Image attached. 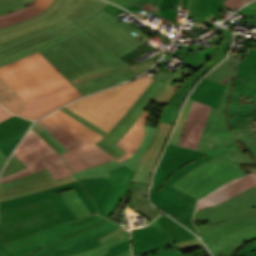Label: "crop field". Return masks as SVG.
<instances>
[{"label":"crop field","instance_id":"1","mask_svg":"<svg viewBox=\"0 0 256 256\" xmlns=\"http://www.w3.org/2000/svg\"><path fill=\"white\" fill-rule=\"evenodd\" d=\"M39 51L84 95L135 77L129 66L68 18L0 45V66Z\"/></svg>","mask_w":256,"mask_h":256},{"label":"crop field","instance_id":"2","mask_svg":"<svg viewBox=\"0 0 256 256\" xmlns=\"http://www.w3.org/2000/svg\"><path fill=\"white\" fill-rule=\"evenodd\" d=\"M193 221H209L210 225L197 229L214 256H231L242 243L256 238V188L221 205L196 211Z\"/></svg>","mask_w":256,"mask_h":256},{"label":"crop field","instance_id":"3","mask_svg":"<svg viewBox=\"0 0 256 256\" xmlns=\"http://www.w3.org/2000/svg\"><path fill=\"white\" fill-rule=\"evenodd\" d=\"M152 80L153 78L144 74L129 83L83 98L64 107L108 133L138 100Z\"/></svg>","mask_w":256,"mask_h":256},{"label":"crop field","instance_id":"4","mask_svg":"<svg viewBox=\"0 0 256 256\" xmlns=\"http://www.w3.org/2000/svg\"><path fill=\"white\" fill-rule=\"evenodd\" d=\"M11 86L28 103L17 114L31 120L84 96L55 67L23 78Z\"/></svg>","mask_w":256,"mask_h":256},{"label":"crop field","instance_id":"5","mask_svg":"<svg viewBox=\"0 0 256 256\" xmlns=\"http://www.w3.org/2000/svg\"><path fill=\"white\" fill-rule=\"evenodd\" d=\"M117 22H119L118 19L102 10L81 28L129 63L131 65L129 68L137 76L149 68L160 55L136 63L133 57L139 56L152 48L126 32L116 24Z\"/></svg>","mask_w":256,"mask_h":256},{"label":"crop field","instance_id":"6","mask_svg":"<svg viewBox=\"0 0 256 256\" xmlns=\"http://www.w3.org/2000/svg\"><path fill=\"white\" fill-rule=\"evenodd\" d=\"M211 158L213 157L208 154L169 144L164 153L159 168L156 171L155 179L153 182L154 184L163 187L164 189L177 195L183 200L193 204L180 218L174 217L173 215L171 216L196 234H198V232L191 222L196 200L171 187L170 185L192 168L204 163Z\"/></svg>","mask_w":256,"mask_h":256},{"label":"crop field","instance_id":"7","mask_svg":"<svg viewBox=\"0 0 256 256\" xmlns=\"http://www.w3.org/2000/svg\"><path fill=\"white\" fill-rule=\"evenodd\" d=\"M63 223L49 201L0 212L2 243Z\"/></svg>","mask_w":256,"mask_h":256},{"label":"crop field","instance_id":"8","mask_svg":"<svg viewBox=\"0 0 256 256\" xmlns=\"http://www.w3.org/2000/svg\"><path fill=\"white\" fill-rule=\"evenodd\" d=\"M243 175L246 173L239 163L215 157L186 173L172 186L199 199Z\"/></svg>","mask_w":256,"mask_h":256},{"label":"crop field","instance_id":"9","mask_svg":"<svg viewBox=\"0 0 256 256\" xmlns=\"http://www.w3.org/2000/svg\"><path fill=\"white\" fill-rule=\"evenodd\" d=\"M14 155L28 168L2 178L0 183L18 179L45 168L55 180L72 175L61 155L31 129Z\"/></svg>","mask_w":256,"mask_h":256},{"label":"crop field","instance_id":"10","mask_svg":"<svg viewBox=\"0 0 256 256\" xmlns=\"http://www.w3.org/2000/svg\"><path fill=\"white\" fill-rule=\"evenodd\" d=\"M148 115V113L143 112L132 128L126 133V135L124 134L125 136L116 144L127 152L118 160L94 143L69 150L62 154V156L70 166L73 173L99 165L112 159L119 162L127 160L136 152L143 139L144 124Z\"/></svg>","mask_w":256,"mask_h":256},{"label":"crop field","instance_id":"11","mask_svg":"<svg viewBox=\"0 0 256 256\" xmlns=\"http://www.w3.org/2000/svg\"><path fill=\"white\" fill-rule=\"evenodd\" d=\"M110 173L111 178L100 177L80 181L94 199L98 213L107 218L123 198L135 174L126 166L112 169Z\"/></svg>","mask_w":256,"mask_h":256},{"label":"crop field","instance_id":"12","mask_svg":"<svg viewBox=\"0 0 256 256\" xmlns=\"http://www.w3.org/2000/svg\"><path fill=\"white\" fill-rule=\"evenodd\" d=\"M105 220L98 215H94L74 222L54 225L40 232L4 243V245L18 256H28L39 248L97 225Z\"/></svg>","mask_w":256,"mask_h":256},{"label":"crop field","instance_id":"13","mask_svg":"<svg viewBox=\"0 0 256 256\" xmlns=\"http://www.w3.org/2000/svg\"><path fill=\"white\" fill-rule=\"evenodd\" d=\"M37 122L67 150L96 143L104 138L61 109Z\"/></svg>","mask_w":256,"mask_h":256},{"label":"crop field","instance_id":"14","mask_svg":"<svg viewBox=\"0 0 256 256\" xmlns=\"http://www.w3.org/2000/svg\"><path fill=\"white\" fill-rule=\"evenodd\" d=\"M164 83L154 79L151 85L147 88V90L143 93V95L139 98V100L135 103V105L128 111V113L114 126V128L107 134L104 131L100 130L84 118L74 114L66 108H61L74 118L78 119L85 125L91 127L95 131L99 132L106 138L97 143L98 146L103 148L105 151L113 155L115 158L121 157L124 152L115 144L124 136V134L130 129L133 123L137 120V118L141 115L144 109L147 107L149 102L152 100L157 91L161 88Z\"/></svg>","mask_w":256,"mask_h":256},{"label":"crop field","instance_id":"15","mask_svg":"<svg viewBox=\"0 0 256 256\" xmlns=\"http://www.w3.org/2000/svg\"><path fill=\"white\" fill-rule=\"evenodd\" d=\"M83 0H53L41 14L12 26L0 28V43L50 26L68 17Z\"/></svg>","mask_w":256,"mask_h":256},{"label":"crop field","instance_id":"16","mask_svg":"<svg viewBox=\"0 0 256 256\" xmlns=\"http://www.w3.org/2000/svg\"><path fill=\"white\" fill-rule=\"evenodd\" d=\"M75 188L86 206L88 207L91 214L97 212L96 206L93 200L88 196L84 187L81 186L78 181L69 183L63 186L52 188L46 191L18 197L16 199L0 202V211L5 209H10L18 206H23L27 204L37 203L41 201L49 200L54 209L57 211L63 222L76 219L71 209L68 207L66 202L63 200L61 195L58 193L67 189Z\"/></svg>","mask_w":256,"mask_h":256},{"label":"crop field","instance_id":"17","mask_svg":"<svg viewBox=\"0 0 256 256\" xmlns=\"http://www.w3.org/2000/svg\"><path fill=\"white\" fill-rule=\"evenodd\" d=\"M214 148L202 150L211 156H217L239 163L256 164V143L243 129L211 134Z\"/></svg>","mask_w":256,"mask_h":256},{"label":"crop field","instance_id":"18","mask_svg":"<svg viewBox=\"0 0 256 256\" xmlns=\"http://www.w3.org/2000/svg\"><path fill=\"white\" fill-rule=\"evenodd\" d=\"M119 225L107 220L83 232L55 242L30 256H64L96 248L101 243L97 240Z\"/></svg>","mask_w":256,"mask_h":256},{"label":"crop field","instance_id":"19","mask_svg":"<svg viewBox=\"0 0 256 256\" xmlns=\"http://www.w3.org/2000/svg\"><path fill=\"white\" fill-rule=\"evenodd\" d=\"M76 181L74 175L54 181L47 169L27 177L0 184V201L46 190Z\"/></svg>","mask_w":256,"mask_h":256},{"label":"crop field","instance_id":"20","mask_svg":"<svg viewBox=\"0 0 256 256\" xmlns=\"http://www.w3.org/2000/svg\"><path fill=\"white\" fill-rule=\"evenodd\" d=\"M50 67H53V65L49 63L39 52H37L1 66L0 74L10 84L18 79Z\"/></svg>","mask_w":256,"mask_h":256},{"label":"crop field","instance_id":"21","mask_svg":"<svg viewBox=\"0 0 256 256\" xmlns=\"http://www.w3.org/2000/svg\"><path fill=\"white\" fill-rule=\"evenodd\" d=\"M156 129L145 125V137L137 152L127 161L118 163L114 160L104 163L102 165L89 168L80 172L75 173L78 180L85 179V178H92V177H100V176H107L110 177L109 169L126 165L131 168L133 171H136V168L139 164V160L143 155L144 151L149 147L153 135Z\"/></svg>","mask_w":256,"mask_h":256},{"label":"crop field","instance_id":"22","mask_svg":"<svg viewBox=\"0 0 256 256\" xmlns=\"http://www.w3.org/2000/svg\"><path fill=\"white\" fill-rule=\"evenodd\" d=\"M210 106L194 101L179 145L195 149L202 134Z\"/></svg>","mask_w":256,"mask_h":256},{"label":"crop field","instance_id":"23","mask_svg":"<svg viewBox=\"0 0 256 256\" xmlns=\"http://www.w3.org/2000/svg\"><path fill=\"white\" fill-rule=\"evenodd\" d=\"M256 185V175L251 173L249 175L239 177L230 183L220 187L214 192L198 200L197 209L214 206L219 204L242 191Z\"/></svg>","mask_w":256,"mask_h":256},{"label":"crop field","instance_id":"24","mask_svg":"<svg viewBox=\"0 0 256 256\" xmlns=\"http://www.w3.org/2000/svg\"><path fill=\"white\" fill-rule=\"evenodd\" d=\"M231 79L232 77H230L226 83L218 109L213 107L211 108L203 134L197 147L198 150L213 147L210 133L228 130L225 123V106Z\"/></svg>","mask_w":256,"mask_h":256},{"label":"crop field","instance_id":"25","mask_svg":"<svg viewBox=\"0 0 256 256\" xmlns=\"http://www.w3.org/2000/svg\"><path fill=\"white\" fill-rule=\"evenodd\" d=\"M32 122L13 116L0 123V150L7 157Z\"/></svg>","mask_w":256,"mask_h":256},{"label":"crop field","instance_id":"26","mask_svg":"<svg viewBox=\"0 0 256 256\" xmlns=\"http://www.w3.org/2000/svg\"><path fill=\"white\" fill-rule=\"evenodd\" d=\"M151 201L160 209L180 217L191 204L152 184Z\"/></svg>","mask_w":256,"mask_h":256},{"label":"crop field","instance_id":"27","mask_svg":"<svg viewBox=\"0 0 256 256\" xmlns=\"http://www.w3.org/2000/svg\"><path fill=\"white\" fill-rule=\"evenodd\" d=\"M202 75L199 73H194L187 81H185L182 86L175 92L172 98L168 101V104L163 109L162 115L160 117L161 122L171 123L173 124L178 111L180 109V105L187 96L189 90L193 87V85L200 79Z\"/></svg>","mask_w":256,"mask_h":256},{"label":"crop field","instance_id":"28","mask_svg":"<svg viewBox=\"0 0 256 256\" xmlns=\"http://www.w3.org/2000/svg\"><path fill=\"white\" fill-rule=\"evenodd\" d=\"M224 84L203 79L193 91L190 99L218 107Z\"/></svg>","mask_w":256,"mask_h":256},{"label":"crop field","instance_id":"29","mask_svg":"<svg viewBox=\"0 0 256 256\" xmlns=\"http://www.w3.org/2000/svg\"><path fill=\"white\" fill-rule=\"evenodd\" d=\"M52 0H35L31 5L0 16V27L15 24L45 10Z\"/></svg>","mask_w":256,"mask_h":256},{"label":"crop field","instance_id":"30","mask_svg":"<svg viewBox=\"0 0 256 256\" xmlns=\"http://www.w3.org/2000/svg\"><path fill=\"white\" fill-rule=\"evenodd\" d=\"M107 5L102 0H84L68 18L81 27Z\"/></svg>","mask_w":256,"mask_h":256},{"label":"crop field","instance_id":"31","mask_svg":"<svg viewBox=\"0 0 256 256\" xmlns=\"http://www.w3.org/2000/svg\"><path fill=\"white\" fill-rule=\"evenodd\" d=\"M0 103L10 112L16 114L24 110L26 102L0 75Z\"/></svg>","mask_w":256,"mask_h":256},{"label":"crop field","instance_id":"32","mask_svg":"<svg viewBox=\"0 0 256 256\" xmlns=\"http://www.w3.org/2000/svg\"><path fill=\"white\" fill-rule=\"evenodd\" d=\"M147 190L148 185L134 182L130 201L134 208L152 219L159 215V212L147 203Z\"/></svg>","mask_w":256,"mask_h":256},{"label":"crop field","instance_id":"33","mask_svg":"<svg viewBox=\"0 0 256 256\" xmlns=\"http://www.w3.org/2000/svg\"><path fill=\"white\" fill-rule=\"evenodd\" d=\"M149 226L132 231L133 254L138 253V249L142 247L165 239L161 234Z\"/></svg>","mask_w":256,"mask_h":256},{"label":"crop field","instance_id":"34","mask_svg":"<svg viewBox=\"0 0 256 256\" xmlns=\"http://www.w3.org/2000/svg\"><path fill=\"white\" fill-rule=\"evenodd\" d=\"M134 14L139 13L142 10H147L156 13L155 16L161 17L163 12L158 8L162 0H109Z\"/></svg>","mask_w":256,"mask_h":256},{"label":"crop field","instance_id":"35","mask_svg":"<svg viewBox=\"0 0 256 256\" xmlns=\"http://www.w3.org/2000/svg\"><path fill=\"white\" fill-rule=\"evenodd\" d=\"M162 227L169 236H171L174 243L181 242L184 240H188L191 238H195V236L187 231L184 227L169 219L167 216H160L158 219L153 221Z\"/></svg>","mask_w":256,"mask_h":256},{"label":"crop field","instance_id":"36","mask_svg":"<svg viewBox=\"0 0 256 256\" xmlns=\"http://www.w3.org/2000/svg\"><path fill=\"white\" fill-rule=\"evenodd\" d=\"M243 128L256 142V109L254 111L240 108L233 129Z\"/></svg>","mask_w":256,"mask_h":256},{"label":"crop field","instance_id":"37","mask_svg":"<svg viewBox=\"0 0 256 256\" xmlns=\"http://www.w3.org/2000/svg\"><path fill=\"white\" fill-rule=\"evenodd\" d=\"M171 124L161 123L159 122V125L157 127V131L154 135L153 141L151 146L145 151L146 154L154 155V156H160L164 145L166 143V140L168 138V135L172 129Z\"/></svg>","mask_w":256,"mask_h":256},{"label":"crop field","instance_id":"38","mask_svg":"<svg viewBox=\"0 0 256 256\" xmlns=\"http://www.w3.org/2000/svg\"><path fill=\"white\" fill-rule=\"evenodd\" d=\"M223 2L224 0H200L196 6V10H198L196 19L215 28L217 25L209 23L204 19L211 13L215 14V18L218 19V12Z\"/></svg>","mask_w":256,"mask_h":256},{"label":"crop field","instance_id":"39","mask_svg":"<svg viewBox=\"0 0 256 256\" xmlns=\"http://www.w3.org/2000/svg\"><path fill=\"white\" fill-rule=\"evenodd\" d=\"M64 200L67 202L69 207L72 209L74 214L79 217L90 215V212L86 208L85 204L75 191V189L60 192Z\"/></svg>","mask_w":256,"mask_h":256},{"label":"crop field","instance_id":"40","mask_svg":"<svg viewBox=\"0 0 256 256\" xmlns=\"http://www.w3.org/2000/svg\"><path fill=\"white\" fill-rule=\"evenodd\" d=\"M220 31L223 33V41L220 45L219 49L217 50L213 60L211 62H208L206 65H204L201 69H199L197 72L200 74H205L207 71H209L213 66H215L225 55L227 48L231 41V33L225 29H220Z\"/></svg>","mask_w":256,"mask_h":256},{"label":"crop field","instance_id":"41","mask_svg":"<svg viewBox=\"0 0 256 256\" xmlns=\"http://www.w3.org/2000/svg\"><path fill=\"white\" fill-rule=\"evenodd\" d=\"M167 62L168 61H161L160 60L157 63V65H159L163 68L161 70H159L155 75H153V77H155V78H157V79H159L163 82L173 84L177 79H179L181 76H183L184 74H186L188 71L191 70L188 67L185 68L184 70L179 68L177 71H175L173 73H169V72L166 71L168 68L163 66Z\"/></svg>","mask_w":256,"mask_h":256},{"label":"crop field","instance_id":"42","mask_svg":"<svg viewBox=\"0 0 256 256\" xmlns=\"http://www.w3.org/2000/svg\"><path fill=\"white\" fill-rule=\"evenodd\" d=\"M192 102H193L192 100L188 99V101L185 103L182 114H181L180 119H179V122L177 124L176 130H175V132H174V134H173V136L170 140L171 143H175V144L179 143L181 132H182V129L185 125V122H186L189 110L191 108Z\"/></svg>","mask_w":256,"mask_h":256},{"label":"crop field","instance_id":"43","mask_svg":"<svg viewBox=\"0 0 256 256\" xmlns=\"http://www.w3.org/2000/svg\"><path fill=\"white\" fill-rule=\"evenodd\" d=\"M34 0H0V15L29 5Z\"/></svg>","mask_w":256,"mask_h":256},{"label":"crop field","instance_id":"44","mask_svg":"<svg viewBox=\"0 0 256 256\" xmlns=\"http://www.w3.org/2000/svg\"><path fill=\"white\" fill-rule=\"evenodd\" d=\"M181 86V83H178L176 85H168L164 84L163 87L158 91L156 96L153 98V101L161 102V103H167V101L171 98L173 93L178 89V87Z\"/></svg>","mask_w":256,"mask_h":256},{"label":"crop field","instance_id":"45","mask_svg":"<svg viewBox=\"0 0 256 256\" xmlns=\"http://www.w3.org/2000/svg\"><path fill=\"white\" fill-rule=\"evenodd\" d=\"M36 130L47 142H49L60 154L67 151L58 141H56L46 130H44L37 122L32 127Z\"/></svg>","mask_w":256,"mask_h":256},{"label":"crop field","instance_id":"46","mask_svg":"<svg viewBox=\"0 0 256 256\" xmlns=\"http://www.w3.org/2000/svg\"><path fill=\"white\" fill-rule=\"evenodd\" d=\"M180 59L183 60V61H181L183 64L187 65L189 68H191L195 72L199 68H201L204 64L207 63V62L203 61L202 59H200L196 56H193L191 54V52L189 54L185 55L184 57L180 58Z\"/></svg>","mask_w":256,"mask_h":256},{"label":"crop field","instance_id":"47","mask_svg":"<svg viewBox=\"0 0 256 256\" xmlns=\"http://www.w3.org/2000/svg\"><path fill=\"white\" fill-rule=\"evenodd\" d=\"M152 172L144 167L142 164H139L136 174L132 181L141 182L148 184L151 178Z\"/></svg>","mask_w":256,"mask_h":256},{"label":"crop field","instance_id":"48","mask_svg":"<svg viewBox=\"0 0 256 256\" xmlns=\"http://www.w3.org/2000/svg\"><path fill=\"white\" fill-rule=\"evenodd\" d=\"M118 25H120L122 28H124L126 31L130 32L131 34H133L134 36L138 37L139 39L141 40H146L147 38L150 39V37L142 34L140 31H138L137 29H135L134 27H132L130 24H128L127 22L125 21H122L120 23H118ZM160 36L163 40H166L168 39L167 37L165 38L163 35L161 34H156L155 36ZM153 36V37H155ZM151 37V38H153Z\"/></svg>","mask_w":256,"mask_h":256},{"label":"crop field","instance_id":"49","mask_svg":"<svg viewBox=\"0 0 256 256\" xmlns=\"http://www.w3.org/2000/svg\"><path fill=\"white\" fill-rule=\"evenodd\" d=\"M128 249H130V239L108 249L109 252L105 255L106 256H116Z\"/></svg>","mask_w":256,"mask_h":256},{"label":"crop field","instance_id":"50","mask_svg":"<svg viewBox=\"0 0 256 256\" xmlns=\"http://www.w3.org/2000/svg\"><path fill=\"white\" fill-rule=\"evenodd\" d=\"M253 244L240 248L235 252L237 256H256V239L251 241Z\"/></svg>","mask_w":256,"mask_h":256},{"label":"crop field","instance_id":"51","mask_svg":"<svg viewBox=\"0 0 256 256\" xmlns=\"http://www.w3.org/2000/svg\"><path fill=\"white\" fill-rule=\"evenodd\" d=\"M128 234V232H126L121 226L114 229L113 231L109 232L108 234H106L105 236L101 237L100 239H98L101 243L104 242L105 240H107L108 238H110L111 236H116L117 238L124 236Z\"/></svg>","mask_w":256,"mask_h":256},{"label":"crop field","instance_id":"52","mask_svg":"<svg viewBox=\"0 0 256 256\" xmlns=\"http://www.w3.org/2000/svg\"><path fill=\"white\" fill-rule=\"evenodd\" d=\"M249 1H251V0H226L223 5L235 11L241 5H243Z\"/></svg>","mask_w":256,"mask_h":256},{"label":"crop field","instance_id":"53","mask_svg":"<svg viewBox=\"0 0 256 256\" xmlns=\"http://www.w3.org/2000/svg\"><path fill=\"white\" fill-rule=\"evenodd\" d=\"M176 245L178 246V248L180 250H182V249L192 248V247H195L197 245H201V243L198 241L197 238H195V239H191V240L184 241V242H181V243H177Z\"/></svg>","mask_w":256,"mask_h":256},{"label":"crop field","instance_id":"54","mask_svg":"<svg viewBox=\"0 0 256 256\" xmlns=\"http://www.w3.org/2000/svg\"><path fill=\"white\" fill-rule=\"evenodd\" d=\"M16 172L17 171H20L24 168H26V166L20 162L14 155L13 157L11 158V160L9 161L8 163Z\"/></svg>","mask_w":256,"mask_h":256},{"label":"crop field","instance_id":"55","mask_svg":"<svg viewBox=\"0 0 256 256\" xmlns=\"http://www.w3.org/2000/svg\"><path fill=\"white\" fill-rule=\"evenodd\" d=\"M155 256H183V254L178 251H172V249L168 250V251H165V252H162L160 254H157Z\"/></svg>","mask_w":256,"mask_h":256},{"label":"crop field","instance_id":"56","mask_svg":"<svg viewBox=\"0 0 256 256\" xmlns=\"http://www.w3.org/2000/svg\"><path fill=\"white\" fill-rule=\"evenodd\" d=\"M13 116V114L6 111L2 106H0V122Z\"/></svg>","mask_w":256,"mask_h":256},{"label":"crop field","instance_id":"57","mask_svg":"<svg viewBox=\"0 0 256 256\" xmlns=\"http://www.w3.org/2000/svg\"><path fill=\"white\" fill-rule=\"evenodd\" d=\"M108 249V248H107ZM106 252H108L106 249L99 252L98 254L94 255V256H102L104 255ZM69 256H87L84 252H81V253H77V254H73V255H69ZM124 256H131V252L124 255Z\"/></svg>","mask_w":256,"mask_h":256},{"label":"crop field","instance_id":"58","mask_svg":"<svg viewBox=\"0 0 256 256\" xmlns=\"http://www.w3.org/2000/svg\"><path fill=\"white\" fill-rule=\"evenodd\" d=\"M242 14H246V15H250V16H254L256 17V11L254 10H251V9H248L246 7L242 8L240 11H238Z\"/></svg>","mask_w":256,"mask_h":256},{"label":"crop field","instance_id":"59","mask_svg":"<svg viewBox=\"0 0 256 256\" xmlns=\"http://www.w3.org/2000/svg\"><path fill=\"white\" fill-rule=\"evenodd\" d=\"M174 14H176L175 11L170 10V9L167 8V10H166V12L164 13L163 17L168 18V19H170V20L173 21L174 18H175V17H173Z\"/></svg>","mask_w":256,"mask_h":256},{"label":"crop field","instance_id":"60","mask_svg":"<svg viewBox=\"0 0 256 256\" xmlns=\"http://www.w3.org/2000/svg\"><path fill=\"white\" fill-rule=\"evenodd\" d=\"M198 0H190V4H189V10H191L190 14L196 15L195 12V5L197 4Z\"/></svg>","mask_w":256,"mask_h":256},{"label":"crop field","instance_id":"61","mask_svg":"<svg viewBox=\"0 0 256 256\" xmlns=\"http://www.w3.org/2000/svg\"><path fill=\"white\" fill-rule=\"evenodd\" d=\"M8 158L0 151V169Z\"/></svg>","mask_w":256,"mask_h":256},{"label":"crop field","instance_id":"62","mask_svg":"<svg viewBox=\"0 0 256 256\" xmlns=\"http://www.w3.org/2000/svg\"><path fill=\"white\" fill-rule=\"evenodd\" d=\"M169 1L170 0H163L159 9L165 12L167 5L169 4Z\"/></svg>","mask_w":256,"mask_h":256},{"label":"crop field","instance_id":"63","mask_svg":"<svg viewBox=\"0 0 256 256\" xmlns=\"http://www.w3.org/2000/svg\"><path fill=\"white\" fill-rule=\"evenodd\" d=\"M182 50H183V49H182ZM182 50H180V51L175 50V52H174L173 54L179 55V56L182 57V56H183V55H182V53H183ZM186 50H187V49H186ZM188 51H189V50H187L186 52H188ZM189 52H190V51H189ZM168 56H170V55H166L164 58H166V57H168Z\"/></svg>","mask_w":256,"mask_h":256},{"label":"crop field","instance_id":"64","mask_svg":"<svg viewBox=\"0 0 256 256\" xmlns=\"http://www.w3.org/2000/svg\"><path fill=\"white\" fill-rule=\"evenodd\" d=\"M180 1L181 0H171L169 6H171V5L177 6V5H179Z\"/></svg>","mask_w":256,"mask_h":256},{"label":"crop field","instance_id":"65","mask_svg":"<svg viewBox=\"0 0 256 256\" xmlns=\"http://www.w3.org/2000/svg\"><path fill=\"white\" fill-rule=\"evenodd\" d=\"M246 7L256 10V1L247 5Z\"/></svg>","mask_w":256,"mask_h":256},{"label":"crop field","instance_id":"66","mask_svg":"<svg viewBox=\"0 0 256 256\" xmlns=\"http://www.w3.org/2000/svg\"><path fill=\"white\" fill-rule=\"evenodd\" d=\"M7 249L1 242H0V252ZM1 256V255H0ZM10 256H16L14 254L10 255Z\"/></svg>","mask_w":256,"mask_h":256},{"label":"crop field","instance_id":"67","mask_svg":"<svg viewBox=\"0 0 256 256\" xmlns=\"http://www.w3.org/2000/svg\"><path fill=\"white\" fill-rule=\"evenodd\" d=\"M214 18V15L213 14H211L209 17H207L206 18V20H208V21H210L211 22V20Z\"/></svg>","mask_w":256,"mask_h":256},{"label":"crop field","instance_id":"68","mask_svg":"<svg viewBox=\"0 0 256 256\" xmlns=\"http://www.w3.org/2000/svg\"><path fill=\"white\" fill-rule=\"evenodd\" d=\"M189 0H183V6L187 7Z\"/></svg>","mask_w":256,"mask_h":256},{"label":"crop field","instance_id":"69","mask_svg":"<svg viewBox=\"0 0 256 256\" xmlns=\"http://www.w3.org/2000/svg\"><path fill=\"white\" fill-rule=\"evenodd\" d=\"M246 170H248V171L253 172V173H255V174H256V169H255V168L246 169Z\"/></svg>","mask_w":256,"mask_h":256},{"label":"crop field","instance_id":"70","mask_svg":"<svg viewBox=\"0 0 256 256\" xmlns=\"http://www.w3.org/2000/svg\"><path fill=\"white\" fill-rule=\"evenodd\" d=\"M160 40H162V39H160ZM162 41H163V40H162ZM168 41L171 43V40H170V39H169V40H167V41H163V42H165V43H166V42H168Z\"/></svg>","mask_w":256,"mask_h":256},{"label":"crop field","instance_id":"71","mask_svg":"<svg viewBox=\"0 0 256 256\" xmlns=\"http://www.w3.org/2000/svg\"><path fill=\"white\" fill-rule=\"evenodd\" d=\"M171 58H173L172 56L168 58V60H170Z\"/></svg>","mask_w":256,"mask_h":256},{"label":"crop field","instance_id":"72","mask_svg":"<svg viewBox=\"0 0 256 256\" xmlns=\"http://www.w3.org/2000/svg\"><path fill=\"white\" fill-rule=\"evenodd\" d=\"M256 81V80H255Z\"/></svg>","mask_w":256,"mask_h":256}]
</instances>
